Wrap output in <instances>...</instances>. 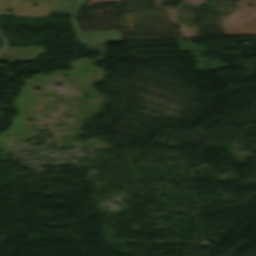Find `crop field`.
Here are the masks:
<instances>
[{
	"label": "crop field",
	"instance_id": "crop-field-1",
	"mask_svg": "<svg viewBox=\"0 0 256 256\" xmlns=\"http://www.w3.org/2000/svg\"><path fill=\"white\" fill-rule=\"evenodd\" d=\"M85 0H75L73 15L70 18L74 30L81 43L115 42L118 41L116 31L81 33L79 26L74 19L75 13ZM78 12V11H77Z\"/></svg>",
	"mask_w": 256,
	"mask_h": 256
},
{
	"label": "crop field",
	"instance_id": "crop-field-2",
	"mask_svg": "<svg viewBox=\"0 0 256 256\" xmlns=\"http://www.w3.org/2000/svg\"><path fill=\"white\" fill-rule=\"evenodd\" d=\"M73 0L54 1L51 14L71 15Z\"/></svg>",
	"mask_w": 256,
	"mask_h": 256
}]
</instances>
